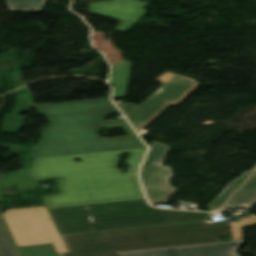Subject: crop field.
Returning <instances> with one entry per match:
<instances>
[{
    "mask_svg": "<svg viewBox=\"0 0 256 256\" xmlns=\"http://www.w3.org/2000/svg\"><path fill=\"white\" fill-rule=\"evenodd\" d=\"M70 253L62 256H121L107 233H81L62 236Z\"/></svg>",
    "mask_w": 256,
    "mask_h": 256,
    "instance_id": "8",
    "label": "crop field"
},
{
    "mask_svg": "<svg viewBox=\"0 0 256 256\" xmlns=\"http://www.w3.org/2000/svg\"><path fill=\"white\" fill-rule=\"evenodd\" d=\"M169 146L153 142L140 174L142 184L151 205L167 203L168 196L176 192L169 179L173 176L170 167L161 166Z\"/></svg>",
    "mask_w": 256,
    "mask_h": 256,
    "instance_id": "6",
    "label": "crop field"
},
{
    "mask_svg": "<svg viewBox=\"0 0 256 256\" xmlns=\"http://www.w3.org/2000/svg\"><path fill=\"white\" fill-rule=\"evenodd\" d=\"M132 63H120L114 65L110 83L115 85L113 97L125 95L129 72Z\"/></svg>",
    "mask_w": 256,
    "mask_h": 256,
    "instance_id": "11",
    "label": "crop field"
},
{
    "mask_svg": "<svg viewBox=\"0 0 256 256\" xmlns=\"http://www.w3.org/2000/svg\"><path fill=\"white\" fill-rule=\"evenodd\" d=\"M0 256H18L0 219Z\"/></svg>",
    "mask_w": 256,
    "mask_h": 256,
    "instance_id": "13",
    "label": "crop field"
},
{
    "mask_svg": "<svg viewBox=\"0 0 256 256\" xmlns=\"http://www.w3.org/2000/svg\"><path fill=\"white\" fill-rule=\"evenodd\" d=\"M156 81L165 83L155 94L140 106L121 103L118 107L139 133L170 105H178L200 83L194 79L165 72Z\"/></svg>",
    "mask_w": 256,
    "mask_h": 256,
    "instance_id": "5",
    "label": "crop field"
},
{
    "mask_svg": "<svg viewBox=\"0 0 256 256\" xmlns=\"http://www.w3.org/2000/svg\"><path fill=\"white\" fill-rule=\"evenodd\" d=\"M254 225L256 219L246 217L233 223L163 225L107 233L118 252L215 242L218 236L225 235H232L233 240H237L242 239V227Z\"/></svg>",
    "mask_w": 256,
    "mask_h": 256,
    "instance_id": "3",
    "label": "crop field"
},
{
    "mask_svg": "<svg viewBox=\"0 0 256 256\" xmlns=\"http://www.w3.org/2000/svg\"><path fill=\"white\" fill-rule=\"evenodd\" d=\"M53 124L45 130L31 173L35 180L61 178L60 194L44 197L49 208L145 199L137 170L146 147L125 119L103 122L116 107L90 100L37 106ZM124 126L130 137L100 139L97 129ZM132 152L128 174L116 169L118 155ZM80 157L81 162L73 158Z\"/></svg>",
    "mask_w": 256,
    "mask_h": 256,
    "instance_id": "1",
    "label": "crop field"
},
{
    "mask_svg": "<svg viewBox=\"0 0 256 256\" xmlns=\"http://www.w3.org/2000/svg\"><path fill=\"white\" fill-rule=\"evenodd\" d=\"M242 244L238 240L120 253L122 256H238L236 250Z\"/></svg>",
    "mask_w": 256,
    "mask_h": 256,
    "instance_id": "7",
    "label": "crop field"
},
{
    "mask_svg": "<svg viewBox=\"0 0 256 256\" xmlns=\"http://www.w3.org/2000/svg\"><path fill=\"white\" fill-rule=\"evenodd\" d=\"M256 169V165L252 170L242 173L237 179L231 181L221 193L207 206L210 211H216L221 204L235 191V189Z\"/></svg>",
    "mask_w": 256,
    "mask_h": 256,
    "instance_id": "12",
    "label": "crop field"
},
{
    "mask_svg": "<svg viewBox=\"0 0 256 256\" xmlns=\"http://www.w3.org/2000/svg\"><path fill=\"white\" fill-rule=\"evenodd\" d=\"M49 210L61 234L200 221L211 214L158 210L145 200Z\"/></svg>",
    "mask_w": 256,
    "mask_h": 256,
    "instance_id": "2",
    "label": "crop field"
},
{
    "mask_svg": "<svg viewBox=\"0 0 256 256\" xmlns=\"http://www.w3.org/2000/svg\"><path fill=\"white\" fill-rule=\"evenodd\" d=\"M256 203V172L247 180V182L230 198V200L219 210L225 212L237 207L247 208L248 214L250 208ZM254 206V205H253Z\"/></svg>",
    "mask_w": 256,
    "mask_h": 256,
    "instance_id": "10",
    "label": "crop field"
},
{
    "mask_svg": "<svg viewBox=\"0 0 256 256\" xmlns=\"http://www.w3.org/2000/svg\"><path fill=\"white\" fill-rule=\"evenodd\" d=\"M45 0H9L12 10H40Z\"/></svg>",
    "mask_w": 256,
    "mask_h": 256,
    "instance_id": "14",
    "label": "crop field"
},
{
    "mask_svg": "<svg viewBox=\"0 0 256 256\" xmlns=\"http://www.w3.org/2000/svg\"><path fill=\"white\" fill-rule=\"evenodd\" d=\"M22 256H57L65 252L46 207L7 210L3 214Z\"/></svg>",
    "mask_w": 256,
    "mask_h": 256,
    "instance_id": "4",
    "label": "crop field"
},
{
    "mask_svg": "<svg viewBox=\"0 0 256 256\" xmlns=\"http://www.w3.org/2000/svg\"><path fill=\"white\" fill-rule=\"evenodd\" d=\"M147 4L148 3L136 0H114L112 2L92 4L90 5V12L118 18L124 21L116 29L126 31L146 13L143 8Z\"/></svg>",
    "mask_w": 256,
    "mask_h": 256,
    "instance_id": "9",
    "label": "crop field"
}]
</instances>
